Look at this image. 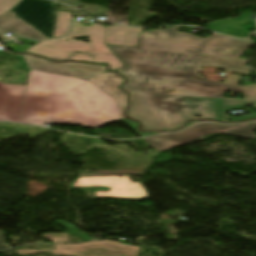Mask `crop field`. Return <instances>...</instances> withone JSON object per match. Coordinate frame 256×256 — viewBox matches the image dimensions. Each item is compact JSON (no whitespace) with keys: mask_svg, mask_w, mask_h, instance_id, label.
<instances>
[{"mask_svg":"<svg viewBox=\"0 0 256 256\" xmlns=\"http://www.w3.org/2000/svg\"><path fill=\"white\" fill-rule=\"evenodd\" d=\"M142 29L123 26H107L106 44L134 47Z\"/></svg>","mask_w":256,"mask_h":256,"instance_id":"obj_14","label":"crop field"},{"mask_svg":"<svg viewBox=\"0 0 256 256\" xmlns=\"http://www.w3.org/2000/svg\"><path fill=\"white\" fill-rule=\"evenodd\" d=\"M150 96L169 130L180 128L186 120L196 118L197 115L202 119L223 122L256 118V115L230 118L225 114V111L241 110L249 104L256 108V101L156 94Z\"/></svg>","mask_w":256,"mask_h":256,"instance_id":"obj_4","label":"crop field"},{"mask_svg":"<svg viewBox=\"0 0 256 256\" xmlns=\"http://www.w3.org/2000/svg\"><path fill=\"white\" fill-rule=\"evenodd\" d=\"M10 48H12L14 51L16 52H24L25 50L29 49L30 47H23V46H20V45H9L7 44Z\"/></svg>","mask_w":256,"mask_h":256,"instance_id":"obj_21","label":"crop field"},{"mask_svg":"<svg viewBox=\"0 0 256 256\" xmlns=\"http://www.w3.org/2000/svg\"><path fill=\"white\" fill-rule=\"evenodd\" d=\"M118 120L116 101L91 83L31 72L22 123L74 124L94 128Z\"/></svg>","mask_w":256,"mask_h":256,"instance_id":"obj_2","label":"crop field"},{"mask_svg":"<svg viewBox=\"0 0 256 256\" xmlns=\"http://www.w3.org/2000/svg\"><path fill=\"white\" fill-rule=\"evenodd\" d=\"M5 248H9V246L5 244L3 236H2V232L0 230V249H5Z\"/></svg>","mask_w":256,"mask_h":256,"instance_id":"obj_22","label":"crop field"},{"mask_svg":"<svg viewBox=\"0 0 256 256\" xmlns=\"http://www.w3.org/2000/svg\"><path fill=\"white\" fill-rule=\"evenodd\" d=\"M15 251H16L15 249H10V250H6V251H2V252H0V254L8 256V255L14 254Z\"/></svg>","mask_w":256,"mask_h":256,"instance_id":"obj_24","label":"crop field"},{"mask_svg":"<svg viewBox=\"0 0 256 256\" xmlns=\"http://www.w3.org/2000/svg\"><path fill=\"white\" fill-rule=\"evenodd\" d=\"M250 14H241L238 18L207 24V28L216 32L243 37L246 35L244 25L250 19Z\"/></svg>","mask_w":256,"mask_h":256,"instance_id":"obj_15","label":"crop field"},{"mask_svg":"<svg viewBox=\"0 0 256 256\" xmlns=\"http://www.w3.org/2000/svg\"><path fill=\"white\" fill-rule=\"evenodd\" d=\"M55 222L60 224L61 226H63L64 228L71 231L72 233H74L75 235H77L78 237L82 238L85 241L92 239V237L84 234L83 232L79 231L78 229H76L75 227L71 226L70 224H68L67 222H65L63 220H58Z\"/></svg>","mask_w":256,"mask_h":256,"instance_id":"obj_18","label":"crop field"},{"mask_svg":"<svg viewBox=\"0 0 256 256\" xmlns=\"http://www.w3.org/2000/svg\"><path fill=\"white\" fill-rule=\"evenodd\" d=\"M246 61L247 60H243V59L201 55L190 79L209 82V83H215L220 85H226V86H229L228 88L229 91L243 92L246 95L244 99L256 100V84L247 85V86L237 85L241 76L230 75L226 78V80L223 83H218V82L207 81L206 79H204L202 76L198 74L201 67L205 65L214 66L218 69L237 73V74H250L249 69L245 67ZM253 71L256 74V70H253Z\"/></svg>","mask_w":256,"mask_h":256,"instance_id":"obj_7","label":"crop field"},{"mask_svg":"<svg viewBox=\"0 0 256 256\" xmlns=\"http://www.w3.org/2000/svg\"><path fill=\"white\" fill-rule=\"evenodd\" d=\"M71 16L72 13L69 12H57V20L53 38L63 36L69 32Z\"/></svg>","mask_w":256,"mask_h":256,"instance_id":"obj_16","label":"crop field"},{"mask_svg":"<svg viewBox=\"0 0 256 256\" xmlns=\"http://www.w3.org/2000/svg\"><path fill=\"white\" fill-rule=\"evenodd\" d=\"M55 3L47 0H22L11 11L31 27L52 38Z\"/></svg>","mask_w":256,"mask_h":256,"instance_id":"obj_8","label":"crop field"},{"mask_svg":"<svg viewBox=\"0 0 256 256\" xmlns=\"http://www.w3.org/2000/svg\"><path fill=\"white\" fill-rule=\"evenodd\" d=\"M42 235H43V238L53 243L67 242L69 238L68 233H55V234H42Z\"/></svg>","mask_w":256,"mask_h":256,"instance_id":"obj_19","label":"crop field"},{"mask_svg":"<svg viewBox=\"0 0 256 256\" xmlns=\"http://www.w3.org/2000/svg\"><path fill=\"white\" fill-rule=\"evenodd\" d=\"M253 128H256V123L251 124V125H247V126H244V127H241V128H237V129H234V130H231V131H227V132H224V133L232 134V135H238V136H242V137H245V138L253 139V138H256V136L251 134V131H252Z\"/></svg>","mask_w":256,"mask_h":256,"instance_id":"obj_17","label":"crop field"},{"mask_svg":"<svg viewBox=\"0 0 256 256\" xmlns=\"http://www.w3.org/2000/svg\"><path fill=\"white\" fill-rule=\"evenodd\" d=\"M20 1L21 0H0V14L12 9Z\"/></svg>","mask_w":256,"mask_h":256,"instance_id":"obj_20","label":"crop field"},{"mask_svg":"<svg viewBox=\"0 0 256 256\" xmlns=\"http://www.w3.org/2000/svg\"><path fill=\"white\" fill-rule=\"evenodd\" d=\"M244 125H247V124L218 125V124L203 123V124L191 126L177 133L145 138V140L149 142L151 145H153L154 147H156L158 150L162 151V150H166V149L180 146L183 144H187L201 135L224 132V131L231 130Z\"/></svg>","mask_w":256,"mask_h":256,"instance_id":"obj_10","label":"crop field"},{"mask_svg":"<svg viewBox=\"0 0 256 256\" xmlns=\"http://www.w3.org/2000/svg\"><path fill=\"white\" fill-rule=\"evenodd\" d=\"M87 80L117 101L120 120L128 124L138 134H140L141 136H145V135L161 133V132L140 133L137 130V127L139 126L138 122H134V121L123 118L122 113L127 105L126 93L117 89L116 87L120 85L122 82H124V78H122L118 74L108 72L98 76L87 78Z\"/></svg>","mask_w":256,"mask_h":256,"instance_id":"obj_11","label":"crop field"},{"mask_svg":"<svg viewBox=\"0 0 256 256\" xmlns=\"http://www.w3.org/2000/svg\"><path fill=\"white\" fill-rule=\"evenodd\" d=\"M81 24L74 22L68 37L41 42L25 52L39 54L56 61L105 62L110 65L109 69L112 70L122 67L123 64L105 45L106 27L93 23H91V26H81ZM80 35H88L90 44L73 40V37Z\"/></svg>","mask_w":256,"mask_h":256,"instance_id":"obj_3","label":"crop field"},{"mask_svg":"<svg viewBox=\"0 0 256 256\" xmlns=\"http://www.w3.org/2000/svg\"><path fill=\"white\" fill-rule=\"evenodd\" d=\"M251 42L214 34L206 39L177 28L142 34L136 48L109 46L126 65L132 104L126 112L145 129H167L148 93L223 98L227 87L189 80L200 54L239 58Z\"/></svg>","mask_w":256,"mask_h":256,"instance_id":"obj_1","label":"crop field"},{"mask_svg":"<svg viewBox=\"0 0 256 256\" xmlns=\"http://www.w3.org/2000/svg\"><path fill=\"white\" fill-rule=\"evenodd\" d=\"M25 85L0 83V120L19 122Z\"/></svg>","mask_w":256,"mask_h":256,"instance_id":"obj_12","label":"crop field"},{"mask_svg":"<svg viewBox=\"0 0 256 256\" xmlns=\"http://www.w3.org/2000/svg\"><path fill=\"white\" fill-rule=\"evenodd\" d=\"M119 176H122V178ZM81 188H93L95 197L127 200L148 198L142 183L132 182L128 175L79 177L70 185V189Z\"/></svg>","mask_w":256,"mask_h":256,"instance_id":"obj_5","label":"crop field"},{"mask_svg":"<svg viewBox=\"0 0 256 256\" xmlns=\"http://www.w3.org/2000/svg\"><path fill=\"white\" fill-rule=\"evenodd\" d=\"M139 246H130L113 240L90 241L78 244H54L53 251L17 250L16 254L52 253L68 256H138Z\"/></svg>","mask_w":256,"mask_h":256,"instance_id":"obj_6","label":"crop field"},{"mask_svg":"<svg viewBox=\"0 0 256 256\" xmlns=\"http://www.w3.org/2000/svg\"><path fill=\"white\" fill-rule=\"evenodd\" d=\"M16 55H17V57H18V59H19V61H20V64H21L23 70H24V71L28 70V68H27L26 64L24 63V61H23L21 55H18V54H16Z\"/></svg>","mask_w":256,"mask_h":256,"instance_id":"obj_23","label":"crop field"},{"mask_svg":"<svg viewBox=\"0 0 256 256\" xmlns=\"http://www.w3.org/2000/svg\"><path fill=\"white\" fill-rule=\"evenodd\" d=\"M31 70H38L74 78H87L106 71L105 65L95 66L85 63H56L43 58L23 54Z\"/></svg>","mask_w":256,"mask_h":256,"instance_id":"obj_9","label":"crop field"},{"mask_svg":"<svg viewBox=\"0 0 256 256\" xmlns=\"http://www.w3.org/2000/svg\"><path fill=\"white\" fill-rule=\"evenodd\" d=\"M9 32H14L16 35L38 40L47 39L46 36L28 26L10 11L0 15V37L3 40L8 39L9 37L4 36L3 34Z\"/></svg>","mask_w":256,"mask_h":256,"instance_id":"obj_13","label":"crop field"}]
</instances>
